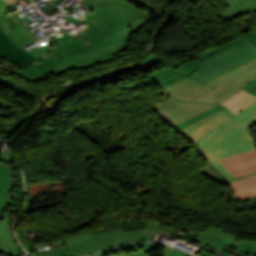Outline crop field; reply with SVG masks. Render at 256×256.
I'll list each match as a JSON object with an SVG mask.
<instances>
[{"label": "crop field", "instance_id": "35", "mask_svg": "<svg viewBox=\"0 0 256 256\" xmlns=\"http://www.w3.org/2000/svg\"><path fill=\"white\" fill-rule=\"evenodd\" d=\"M55 243H60V245H63V244H64L61 240H58V242L47 243V244H55ZM41 245H44V244L35 245V247H32V248H33V250H36V249L39 248ZM45 245H46V244H45Z\"/></svg>", "mask_w": 256, "mask_h": 256}, {"label": "crop field", "instance_id": "11", "mask_svg": "<svg viewBox=\"0 0 256 256\" xmlns=\"http://www.w3.org/2000/svg\"><path fill=\"white\" fill-rule=\"evenodd\" d=\"M158 93H162L169 97H173L180 100L191 101L207 93V91L191 79L187 78L181 82L171 85L165 89H162Z\"/></svg>", "mask_w": 256, "mask_h": 256}, {"label": "crop field", "instance_id": "22", "mask_svg": "<svg viewBox=\"0 0 256 256\" xmlns=\"http://www.w3.org/2000/svg\"><path fill=\"white\" fill-rule=\"evenodd\" d=\"M196 239L205 243V244H207L212 249H215V250H217L221 253L225 251L226 246H227V245L221 243L220 241H218V240H216V239H214V238H212V237H210V236H208L204 233H201Z\"/></svg>", "mask_w": 256, "mask_h": 256}, {"label": "crop field", "instance_id": "12", "mask_svg": "<svg viewBox=\"0 0 256 256\" xmlns=\"http://www.w3.org/2000/svg\"><path fill=\"white\" fill-rule=\"evenodd\" d=\"M0 55L22 66L30 64L43 56L35 59L24 48L19 49L0 29Z\"/></svg>", "mask_w": 256, "mask_h": 256}, {"label": "crop field", "instance_id": "39", "mask_svg": "<svg viewBox=\"0 0 256 256\" xmlns=\"http://www.w3.org/2000/svg\"><path fill=\"white\" fill-rule=\"evenodd\" d=\"M0 107H3V108H5V106H4V105H0Z\"/></svg>", "mask_w": 256, "mask_h": 256}, {"label": "crop field", "instance_id": "5", "mask_svg": "<svg viewBox=\"0 0 256 256\" xmlns=\"http://www.w3.org/2000/svg\"><path fill=\"white\" fill-rule=\"evenodd\" d=\"M160 224L146 222L145 230L124 233L121 228L104 233L92 235L90 232L63 239L74 256H82L95 253L99 250L119 245L133 240H153L157 233L170 236L175 228L159 226Z\"/></svg>", "mask_w": 256, "mask_h": 256}, {"label": "crop field", "instance_id": "17", "mask_svg": "<svg viewBox=\"0 0 256 256\" xmlns=\"http://www.w3.org/2000/svg\"><path fill=\"white\" fill-rule=\"evenodd\" d=\"M0 21L5 26V28L10 32V34L17 40V42L23 47L38 39L33 34H31L26 28L21 27L19 24L13 25L5 16V14L0 16Z\"/></svg>", "mask_w": 256, "mask_h": 256}, {"label": "crop field", "instance_id": "20", "mask_svg": "<svg viewBox=\"0 0 256 256\" xmlns=\"http://www.w3.org/2000/svg\"><path fill=\"white\" fill-rule=\"evenodd\" d=\"M156 244H159V243L141 242V243L127 244V245H124V246H121V247H117V248H114V249H111V250L101 252V253L96 254L94 256H105L108 253L115 252V251H118V250H133V249L137 248L138 246H144L148 251H150L151 248ZM166 250L167 251H166L164 256H181V255L192 256L188 253L176 250V249L168 247V246H166Z\"/></svg>", "mask_w": 256, "mask_h": 256}, {"label": "crop field", "instance_id": "27", "mask_svg": "<svg viewBox=\"0 0 256 256\" xmlns=\"http://www.w3.org/2000/svg\"><path fill=\"white\" fill-rule=\"evenodd\" d=\"M30 115H31V114H30ZM30 115H29V116H30ZM29 116H27V117L24 118V119H21V120H18V121L13 122V123L10 124L7 128H5L4 131L14 133V132L27 120V118H28Z\"/></svg>", "mask_w": 256, "mask_h": 256}, {"label": "crop field", "instance_id": "21", "mask_svg": "<svg viewBox=\"0 0 256 256\" xmlns=\"http://www.w3.org/2000/svg\"><path fill=\"white\" fill-rule=\"evenodd\" d=\"M32 67L33 66H31L29 68L21 69V70L5 68V67H1V68L9 70V71L15 73L16 75H18L19 77H21L31 83L37 82L41 79H44L42 77V75L39 74L36 70H34Z\"/></svg>", "mask_w": 256, "mask_h": 256}, {"label": "crop field", "instance_id": "28", "mask_svg": "<svg viewBox=\"0 0 256 256\" xmlns=\"http://www.w3.org/2000/svg\"><path fill=\"white\" fill-rule=\"evenodd\" d=\"M245 91L256 97V79L243 88Z\"/></svg>", "mask_w": 256, "mask_h": 256}, {"label": "crop field", "instance_id": "36", "mask_svg": "<svg viewBox=\"0 0 256 256\" xmlns=\"http://www.w3.org/2000/svg\"><path fill=\"white\" fill-rule=\"evenodd\" d=\"M6 2H8L9 4H13L15 2H18L17 0H5Z\"/></svg>", "mask_w": 256, "mask_h": 256}, {"label": "crop field", "instance_id": "7", "mask_svg": "<svg viewBox=\"0 0 256 256\" xmlns=\"http://www.w3.org/2000/svg\"><path fill=\"white\" fill-rule=\"evenodd\" d=\"M216 106L218 105L181 102L170 98L151 108H153L166 123L174 127Z\"/></svg>", "mask_w": 256, "mask_h": 256}, {"label": "crop field", "instance_id": "6", "mask_svg": "<svg viewBox=\"0 0 256 256\" xmlns=\"http://www.w3.org/2000/svg\"><path fill=\"white\" fill-rule=\"evenodd\" d=\"M248 44V41L243 37H239L230 42L222 44L218 47L209 49L203 53L195 55L198 59L182 65L177 71L170 67L163 68L150 76V79L158 84L161 88H165L171 84L187 78L198 68L205 65L203 62L228 50Z\"/></svg>", "mask_w": 256, "mask_h": 256}, {"label": "crop field", "instance_id": "33", "mask_svg": "<svg viewBox=\"0 0 256 256\" xmlns=\"http://www.w3.org/2000/svg\"><path fill=\"white\" fill-rule=\"evenodd\" d=\"M9 6L10 5L8 3H6L5 1L0 0V14L4 13V12H7L4 8H7Z\"/></svg>", "mask_w": 256, "mask_h": 256}, {"label": "crop field", "instance_id": "30", "mask_svg": "<svg viewBox=\"0 0 256 256\" xmlns=\"http://www.w3.org/2000/svg\"><path fill=\"white\" fill-rule=\"evenodd\" d=\"M112 256H148L147 254H145L143 251L139 250L137 252H133V253H119L116 255H112Z\"/></svg>", "mask_w": 256, "mask_h": 256}, {"label": "crop field", "instance_id": "38", "mask_svg": "<svg viewBox=\"0 0 256 256\" xmlns=\"http://www.w3.org/2000/svg\"><path fill=\"white\" fill-rule=\"evenodd\" d=\"M256 172L254 173H251V174H255ZM251 174H247V175H251ZM247 175H243V176H247ZM243 176H239V177H243ZM239 177H236V178H239Z\"/></svg>", "mask_w": 256, "mask_h": 256}, {"label": "crop field", "instance_id": "24", "mask_svg": "<svg viewBox=\"0 0 256 256\" xmlns=\"http://www.w3.org/2000/svg\"><path fill=\"white\" fill-rule=\"evenodd\" d=\"M220 108H223V106H218V107H216L214 109L206 111V112H204V113H202V114H200V115H198V116H196V117H194V118H192V119H190V120H188V121H186V122H184V123H182V124L172 128V129L177 131L178 129H180V128H182V127H184V126H186V125H188V124H190V123H192V122H194V121H196V120H198V119H200V118H202V117H204V116H206V115H208V114H210V113H212V112H214V111H216L218 109H220Z\"/></svg>", "mask_w": 256, "mask_h": 256}, {"label": "crop field", "instance_id": "32", "mask_svg": "<svg viewBox=\"0 0 256 256\" xmlns=\"http://www.w3.org/2000/svg\"><path fill=\"white\" fill-rule=\"evenodd\" d=\"M0 28L3 30V32L21 49V47L16 40L9 34V32L3 27V25L0 23Z\"/></svg>", "mask_w": 256, "mask_h": 256}, {"label": "crop field", "instance_id": "40", "mask_svg": "<svg viewBox=\"0 0 256 256\" xmlns=\"http://www.w3.org/2000/svg\"><path fill=\"white\" fill-rule=\"evenodd\" d=\"M0 100H2V99H0ZM3 101V100H2Z\"/></svg>", "mask_w": 256, "mask_h": 256}, {"label": "crop field", "instance_id": "3", "mask_svg": "<svg viewBox=\"0 0 256 256\" xmlns=\"http://www.w3.org/2000/svg\"><path fill=\"white\" fill-rule=\"evenodd\" d=\"M254 124H256V103L197 143L209 161L228 181L233 180L234 177L217 158L256 149L247 131Z\"/></svg>", "mask_w": 256, "mask_h": 256}, {"label": "crop field", "instance_id": "1", "mask_svg": "<svg viewBox=\"0 0 256 256\" xmlns=\"http://www.w3.org/2000/svg\"><path fill=\"white\" fill-rule=\"evenodd\" d=\"M132 32L112 22L101 33L87 25L72 33L87 44H71L52 49L47 58L33 65L44 77L70 69H84L111 61L110 55L127 49Z\"/></svg>", "mask_w": 256, "mask_h": 256}, {"label": "crop field", "instance_id": "31", "mask_svg": "<svg viewBox=\"0 0 256 256\" xmlns=\"http://www.w3.org/2000/svg\"><path fill=\"white\" fill-rule=\"evenodd\" d=\"M129 1L139 5L141 7H145V8H154L155 7V6H153V5L149 4V3L142 2L140 0H129Z\"/></svg>", "mask_w": 256, "mask_h": 256}, {"label": "crop field", "instance_id": "14", "mask_svg": "<svg viewBox=\"0 0 256 256\" xmlns=\"http://www.w3.org/2000/svg\"><path fill=\"white\" fill-rule=\"evenodd\" d=\"M14 188V176L12 168L0 164V216L2 210L12 202L10 192Z\"/></svg>", "mask_w": 256, "mask_h": 256}, {"label": "crop field", "instance_id": "19", "mask_svg": "<svg viewBox=\"0 0 256 256\" xmlns=\"http://www.w3.org/2000/svg\"><path fill=\"white\" fill-rule=\"evenodd\" d=\"M255 100L256 98L241 90L221 105L227 106L236 115L255 102Z\"/></svg>", "mask_w": 256, "mask_h": 256}, {"label": "crop field", "instance_id": "10", "mask_svg": "<svg viewBox=\"0 0 256 256\" xmlns=\"http://www.w3.org/2000/svg\"><path fill=\"white\" fill-rule=\"evenodd\" d=\"M219 160L235 177L256 171V150Z\"/></svg>", "mask_w": 256, "mask_h": 256}, {"label": "crop field", "instance_id": "29", "mask_svg": "<svg viewBox=\"0 0 256 256\" xmlns=\"http://www.w3.org/2000/svg\"><path fill=\"white\" fill-rule=\"evenodd\" d=\"M244 36L256 48V31L246 33Z\"/></svg>", "mask_w": 256, "mask_h": 256}, {"label": "crop field", "instance_id": "37", "mask_svg": "<svg viewBox=\"0 0 256 256\" xmlns=\"http://www.w3.org/2000/svg\"><path fill=\"white\" fill-rule=\"evenodd\" d=\"M225 256H233L232 254L227 253L226 251L223 253Z\"/></svg>", "mask_w": 256, "mask_h": 256}, {"label": "crop field", "instance_id": "26", "mask_svg": "<svg viewBox=\"0 0 256 256\" xmlns=\"http://www.w3.org/2000/svg\"><path fill=\"white\" fill-rule=\"evenodd\" d=\"M62 33H63V32H62ZM63 34H64L65 36L60 37V38H58V39H56L54 35H51L50 37H51V39H52L53 42L71 37V36H69V35H67V34H65V33H63ZM71 38H72L73 40L67 41V42H63V43H60V44H56V46L59 47V46H63V45H67V44H71V43H75V42H77L78 44H82V43H83V42H81V41H79V40H77V39H75V38H73V37H71Z\"/></svg>", "mask_w": 256, "mask_h": 256}, {"label": "crop field", "instance_id": "23", "mask_svg": "<svg viewBox=\"0 0 256 256\" xmlns=\"http://www.w3.org/2000/svg\"><path fill=\"white\" fill-rule=\"evenodd\" d=\"M62 248L54 249V250H45L41 252L35 253V256H73L72 253L67 249L65 245L61 246Z\"/></svg>", "mask_w": 256, "mask_h": 256}, {"label": "crop field", "instance_id": "15", "mask_svg": "<svg viewBox=\"0 0 256 256\" xmlns=\"http://www.w3.org/2000/svg\"><path fill=\"white\" fill-rule=\"evenodd\" d=\"M235 201L256 195V175L229 181Z\"/></svg>", "mask_w": 256, "mask_h": 256}, {"label": "crop field", "instance_id": "18", "mask_svg": "<svg viewBox=\"0 0 256 256\" xmlns=\"http://www.w3.org/2000/svg\"><path fill=\"white\" fill-rule=\"evenodd\" d=\"M9 211H6L5 219L0 222V251L8 253L20 249L14 241L11 232L8 231L10 219L8 218Z\"/></svg>", "mask_w": 256, "mask_h": 256}, {"label": "crop field", "instance_id": "13", "mask_svg": "<svg viewBox=\"0 0 256 256\" xmlns=\"http://www.w3.org/2000/svg\"><path fill=\"white\" fill-rule=\"evenodd\" d=\"M155 59H157V56L152 54V53H150L142 61H139V62H136V63H133V64H129V65H126V66H122V67L106 70V71H104V72H102V73H100L98 75H95V76H93L91 78H88V80H89L88 82H84V83L78 84V86H89L91 84L98 83V82L103 81V80H105L107 78H110V77H113L115 75H118V74L130 71L132 69L141 68V67L151 63Z\"/></svg>", "mask_w": 256, "mask_h": 256}, {"label": "crop field", "instance_id": "16", "mask_svg": "<svg viewBox=\"0 0 256 256\" xmlns=\"http://www.w3.org/2000/svg\"><path fill=\"white\" fill-rule=\"evenodd\" d=\"M228 10L217 14L223 21L256 11V0H226Z\"/></svg>", "mask_w": 256, "mask_h": 256}, {"label": "crop field", "instance_id": "2", "mask_svg": "<svg viewBox=\"0 0 256 256\" xmlns=\"http://www.w3.org/2000/svg\"><path fill=\"white\" fill-rule=\"evenodd\" d=\"M189 78L209 93L193 100L220 104L256 78V51L250 44L223 53Z\"/></svg>", "mask_w": 256, "mask_h": 256}, {"label": "crop field", "instance_id": "25", "mask_svg": "<svg viewBox=\"0 0 256 256\" xmlns=\"http://www.w3.org/2000/svg\"><path fill=\"white\" fill-rule=\"evenodd\" d=\"M48 45L45 44L42 45L40 48H37L36 46L32 47L31 49L27 50L30 54H32L35 58L45 54L48 50Z\"/></svg>", "mask_w": 256, "mask_h": 256}, {"label": "crop field", "instance_id": "9", "mask_svg": "<svg viewBox=\"0 0 256 256\" xmlns=\"http://www.w3.org/2000/svg\"><path fill=\"white\" fill-rule=\"evenodd\" d=\"M228 245L226 251L235 256H256V240H244L232 236L214 225L203 230Z\"/></svg>", "mask_w": 256, "mask_h": 256}, {"label": "crop field", "instance_id": "4", "mask_svg": "<svg viewBox=\"0 0 256 256\" xmlns=\"http://www.w3.org/2000/svg\"><path fill=\"white\" fill-rule=\"evenodd\" d=\"M83 7L89 11L81 18L68 17L66 20L78 24H87L103 31L110 21L135 31L140 26L152 21L153 17L123 0H81ZM93 12L92 14H88Z\"/></svg>", "mask_w": 256, "mask_h": 256}, {"label": "crop field", "instance_id": "34", "mask_svg": "<svg viewBox=\"0 0 256 256\" xmlns=\"http://www.w3.org/2000/svg\"><path fill=\"white\" fill-rule=\"evenodd\" d=\"M0 161L14 163L11 158H9L7 155L3 153L0 155Z\"/></svg>", "mask_w": 256, "mask_h": 256}, {"label": "crop field", "instance_id": "8", "mask_svg": "<svg viewBox=\"0 0 256 256\" xmlns=\"http://www.w3.org/2000/svg\"><path fill=\"white\" fill-rule=\"evenodd\" d=\"M233 116L230 110L225 107L177 132L195 143Z\"/></svg>", "mask_w": 256, "mask_h": 256}]
</instances>
